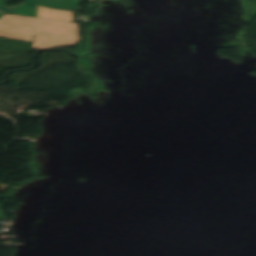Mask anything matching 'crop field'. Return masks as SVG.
<instances>
[{"instance_id":"8a807250","label":"crop field","mask_w":256,"mask_h":256,"mask_svg":"<svg viewBox=\"0 0 256 256\" xmlns=\"http://www.w3.org/2000/svg\"><path fill=\"white\" fill-rule=\"evenodd\" d=\"M0 37L33 41L31 49L67 47L81 40L79 24L11 15L0 19Z\"/></svg>"},{"instance_id":"ac0d7876","label":"crop field","mask_w":256,"mask_h":256,"mask_svg":"<svg viewBox=\"0 0 256 256\" xmlns=\"http://www.w3.org/2000/svg\"><path fill=\"white\" fill-rule=\"evenodd\" d=\"M5 14H3V13H0V18L2 17V16H4Z\"/></svg>"}]
</instances>
